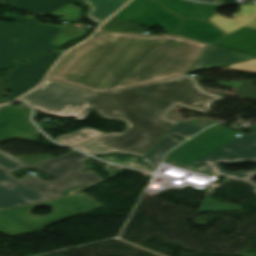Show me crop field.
<instances>
[{
  "mask_svg": "<svg viewBox=\"0 0 256 256\" xmlns=\"http://www.w3.org/2000/svg\"><path fill=\"white\" fill-rule=\"evenodd\" d=\"M206 47L171 36L99 34L67 53L49 79L100 94L184 75Z\"/></svg>",
  "mask_w": 256,
  "mask_h": 256,
  "instance_id": "obj_1",
  "label": "crop field"
},
{
  "mask_svg": "<svg viewBox=\"0 0 256 256\" xmlns=\"http://www.w3.org/2000/svg\"><path fill=\"white\" fill-rule=\"evenodd\" d=\"M102 116L129 124L122 134H106L84 143L94 154L122 152L145 155L178 121L166 117L174 104L125 89L107 92L89 101Z\"/></svg>",
  "mask_w": 256,
  "mask_h": 256,
  "instance_id": "obj_2",
  "label": "crop field"
},
{
  "mask_svg": "<svg viewBox=\"0 0 256 256\" xmlns=\"http://www.w3.org/2000/svg\"><path fill=\"white\" fill-rule=\"evenodd\" d=\"M0 153L26 166L36 168L44 173L60 178L55 182H44L37 176L18 180L9 173L22 166L0 154V209L24 205L28 203L56 198L67 188L100 180L93 172L83 173L82 161L89 157L77 150L69 152L57 159L50 158L31 165L3 151ZM6 182L3 184L2 182Z\"/></svg>",
  "mask_w": 256,
  "mask_h": 256,
  "instance_id": "obj_3",
  "label": "crop field"
},
{
  "mask_svg": "<svg viewBox=\"0 0 256 256\" xmlns=\"http://www.w3.org/2000/svg\"><path fill=\"white\" fill-rule=\"evenodd\" d=\"M252 130L256 131V128ZM237 133L217 125L172 150L168 157L176 165L232 180H244L253 185V190L256 192V182L251 180L256 177V169L249 172L228 173L218 166L220 162H256V134L237 138L235 136Z\"/></svg>",
  "mask_w": 256,
  "mask_h": 256,
  "instance_id": "obj_4",
  "label": "crop field"
},
{
  "mask_svg": "<svg viewBox=\"0 0 256 256\" xmlns=\"http://www.w3.org/2000/svg\"><path fill=\"white\" fill-rule=\"evenodd\" d=\"M3 16L29 23L0 22V70L60 48L50 43L59 36L61 27L41 25L37 20L7 12ZM14 38L16 42L12 41Z\"/></svg>",
  "mask_w": 256,
  "mask_h": 256,
  "instance_id": "obj_5",
  "label": "crop field"
},
{
  "mask_svg": "<svg viewBox=\"0 0 256 256\" xmlns=\"http://www.w3.org/2000/svg\"><path fill=\"white\" fill-rule=\"evenodd\" d=\"M45 205L53 207L54 212L45 216L30 212ZM99 207H103L102 203L78 190L56 199L0 210V231L12 235L26 233Z\"/></svg>",
  "mask_w": 256,
  "mask_h": 256,
  "instance_id": "obj_6",
  "label": "crop field"
},
{
  "mask_svg": "<svg viewBox=\"0 0 256 256\" xmlns=\"http://www.w3.org/2000/svg\"><path fill=\"white\" fill-rule=\"evenodd\" d=\"M52 80L47 79L42 87L19 101L42 112L77 119L85 118L92 109L87 101L98 94Z\"/></svg>",
  "mask_w": 256,
  "mask_h": 256,
  "instance_id": "obj_7",
  "label": "crop field"
},
{
  "mask_svg": "<svg viewBox=\"0 0 256 256\" xmlns=\"http://www.w3.org/2000/svg\"><path fill=\"white\" fill-rule=\"evenodd\" d=\"M126 89L170 103L193 108L203 114H206L216 100L222 98L221 96L208 93L198 85L196 79L186 76Z\"/></svg>",
  "mask_w": 256,
  "mask_h": 256,
  "instance_id": "obj_8",
  "label": "crop field"
},
{
  "mask_svg": "<svg viewBox=\"0 0 256 256\" xmlns=\"http://www.w3.org/2000/svg\"><path fill=\"white\" fill-rule=\"evenodd\" d=\"M115 17L154 27L161 25L169 33H177L182 17L168 13L157 2L150 0H133L119 11Z\"/></svg>",
  "mask_w": 256,
  "mask_h": 256,
  "instance_id": "obj_9",
  "label": "crop field"
},
{
  "mask_svg": "<svg viewBox=\"0 0 256 256\" xmlns=\"http://www.w3.org/2000/svg\"><path fill=\"white\" fill-rule=\"evenodd\" d=\"M62 53H51L36 59L34 62L20 64L8 74L9 84L14 91L4 101L8 102L40 83L46 72L55 63Z\"/></svg>",
  "mask_w": 256,
  "mask_h": 256,
  "instance_id": "obj_10",
  "label": "crop field"
},
{
  "mask_svg": "<svg viewBox=\"0 0 256 256\" xmlns=\"http://www.w3.org/2000/svg\"><path fill=\"white\" fill-rule=\"evenodd\" d=\"M31 109L8 105L0 110V142L12 139L36 141L39 131L29 121Z\"/></svg>",
  "mask_w": 256,
  "mask_h": 256,
  "instance_id": "obj_11",
  "label": "crop field"
},
{
  "mask_svg": "<svg viewBox=\"0 0 256 256\" xmlns=\"http://www.w3.org/2000/svg\"><path fill=\"white\" fill-rule=\"evenodd\" d=\"M251 59H256L250 56L225 50L222 48L210 46L208 51L203 55V57L198 61L190 73L213 68L217 66L229 65L237 62L247 61Z\"/></svg>",
  "mask_w": 256,
  "mask_h": 256,
  "instance_id": "obj_12",
  "label": "crop field"
},
{
  "mask_svg": "<svg viewBox=\"0 0 256 256\" xmlns=\"http://www.w3.org/2000/svg\"><path fill=\"white\" fill-rule=\"evenodd\" d=\"M179 36L191 38L197 41L211 44L223 36L216 27L209 22L197 21L193 19H183L178 30Z\"/></svg>",
  "mask_w": 256,
  "mask_h": 256,
  "instance_id": "obj_13",
  "label": "crop field"
},
{
  "mask_svg": "<svg viewBox=\"0 0 256 256\" xmlns=\"http://www.w3.org/2000/svg\"><path fill=\"white\" fill-rule=\"evenodd\" d=\"M168 10L188 18L209 20L221 5H207L185 0H157Z\"/></svg>",
  "mask_w": 256,
  "mask_h": 256,
  "instance_id": "obj_14",
  "label": "crop field"
},
{
  "mask_svg": "<svg viewBox=\"0 0 256 256\" xmlns=\"http://www.w3.org/2000/svg\"><path fill=\"white\" fill-rule=\"evenodd\" d=\"M87 2L91 7L88 11V18L101 24L108 16L116 11L127 0H80Z\"/></svg>",
  "mask_w": 256,
  "mask_h": 256,
  "instance_id": "obj_15",
  "label": "crop field"
},
{
  "mask_svg": "<svg viewBox=\"0 0 256 256\" xmlns=\"http://www.w3.org/2000/svg\"><path fill=\"white\" fill-rule=\"evenodd\" d=\"M74 0H16L11 5L31 10L37 14L48 15Z\"/></svg>",
  "mask_w": 256,
  "mask_h": 256,
  "instance_id": "obj_16",
  "label": "crop field"
},
{
  "mask_svg": "<svg viewBox=\"0 0 256 256\" xmlns=\"http://www.w3.org/2000/svg\"><path fill=\"white\" fill-rule=\"evenodd\" d=\"M106 133H100L98 131H95L90 128H83L77 132L65 134L56 140L62 144L70 145L72 147L78 148L80 150L86 151L92 155H94L92 152H90L86 147L82 145V143L89 141L91 139H94L96 137H99L101 135H104Z\"/></svg>",
  "mask_w": 256,
  "mask_h": 256,
  "instance_id": "obj_17",
  "label": "crop field"
},
{
  "mask_svg": "<svg viewBox=\"0 0 256 256\" xmlns=\"http://www.w3.org/2000/svg\"><path fill=\"white\" fill-rule=\"evenodd\" d=\"M179 143L181 142H179L175 137H163L145 156L141 158V160L147 162L152 167V171L154 173L167 150Z\"/></svg>",
  "mask_w": 256,
  "mask_h": 256,
  "instance_id": "obj_18",
  "label": "crop field"
},
{
  "mask_svg": "<svg viewBox=\"0 0 256 256\" xmlns=\"http://www.w3.org/2000/svg\"><path fill=\"white\" fill-rule=\"evenodd\" d=\"M244 206L219 203L217 200L206 196L199 210L202 211H230L241 210Z\"/></svg>",
  "mask_w": 256,
  "mask_h": 256,
  "instance_id": "obj_19",
  "label": "crop field"
},
{
  "mask_svg": "<svg viewBox=\"0 0 256 256\" xmlns=\"http://www.w3.org/2000/svg\"><path fill=\"white\" fill-rule=\"evenodd\" d=\"M204 127L196 126L186 121H180L173 129H171L168 134H178L185 137H190L193 134L197 133Z\"/></svg>",
  "mask_w": 256,
  "mask_h": 256,
  "instance_id": "obj_20",
  "label": "crop field"
},
{
  "mask_svg": "<svg viewBox=\"0 0 256 256\" xmlns=\"http://www.w3.org/2000/svg\"><path fill=\"white\" fill-rule=\"evenodd\" d=\"M102 27L104 29H114L117 31H125L126 29H130L132 33H140V30H141V26L139 25L121 21L114 18H112L109 22H107Z\"/></svg>",
  "mask_w": 256,
  "mask_h": 256,
  "instance_id": "obj_21",
  "label": "crop field"
},
{
  "mask_svg": "<svg viewBox=\"0 0 256 256\" xmlns=\"http://www.w3.org/2000/svg\"><path fill=\"white\" fill-rule=\"evenodd\" d=\"M235 94L256 98V88L252 87L249 81H243Z\"/></svg>",
  "mask_w": 256,
  "mask_h": 256,
  "instance_id": "obj_22",
  "label": "crop field"
},
{
  "mask_svg": "<svg viewBox=\"0 0 256 256\" xmlns=\"http://www.w3.org/2000/svg\"><path fill=\"white\" fill-rule=\"evenodd\" d=\"M230 69L256 71V60L229 65Z\"/></svg>",
  "mask_w": 256,
  "mask_h": 256,
  "instance_id": "obj_23",
  "label": "crop field"
},
{
  "mask_svg": "<svg viewBox=\"0 0 256 256\" xmlns=\"http://www.w3.org/2000/svg\"><path fill=\"white\" fill-rule=\"evenodd\" d=\"M16 157L25 160L31 164L38 163L40 161H43L45 159H48L52 157L51 155H45V154H40V155H33V156H23V155H16Z\"/></svg>",
  "mask_w": 256,
  "mask_h": 256,
  "instance_id": "obj_24",
  "label": "crop field"
},
{
  "mask_svg": "<svg viewBox=\"0 0 256 256\" xmlns=\"http://www.w3.org/2000/svg\"><path fill=\"white\" fill-rule=\"evenodd\" d=\"M242 81H235V82H215V83H219V84H223V85H227V86H231V87H235L238 88V86L241 84Z\"/></svg>",
  "mask_w": 256,
  "mask_h": 256,
  "instance_id": "obj_25",
  "label": "crop field"
},
{
  "mask_svg": "<svg viewBox=\"0 0 256 256\" xmlns=\"http://www.w3.org/2000/svg\"><path fill=\"white\" fill-rule=\"evenodd\" d=\"M0 98L2 97V95L5 93V86H4V78L0 77Z\"/></svg>",
  "mask_w": 256,
  "mask_h": 256,
  "instance_id": "obj_26",
  "label": "crop field"
},
{
  "mask_svg": "<svg viewBox=\"0 0 256 256\" xmlns=\"http://www.w3.org/2000/svg\"><path fill=\"white\" fill-rule=\"evenodd\" d=\"M14 0H1L3 4H11Z\"/></svg>",
  "mask_w": 256,
  "mask_h": 256,
  "instance_id": "obj_27",
  "label": "crop field"
},
{
  "mask_svg": "<svg viewBox=\"0 0 256 256\" xmlns=\"http://www.w3.org/2000/svg\"><path fill=\"white\" fill-rule=\"evenodd\" d=\"M194 1H206V2H213V3H215V2H217L218 0H194Z\"/></svg>",
  "mask_w": 256,
  "mask_h": 256,
  "instance_id": "obj_28",
  "label": "crop field"
},
{
  "mask_svg": "<svg viewBox=\"0 0 256 256\" xmlns=\"http://www.w3.org/2000/svg\"><path fill=\"white\" fill-rule=\"evenodd\" d=\"M1 108V107H0Z\"/></svg>",
  "mask_w": 256,
  "mask_h": 256,
  "instance_id": "obj_29",
  "label": "crop field"
},
{
  "mask_svg": "<svg viewBox=\"0 0 256 256\" xmlns=\"http://www.w3.org/2000/svg\"><path fill=\"white\" fill-rule=\"evenodd\" d=\"M1 100V99H0Z\"/></svg>",
  "mask_w": 256,
  "mask_h": 256,
  "instance_id": "obj_30",
  "label": "crop field"
}]
</instances>
